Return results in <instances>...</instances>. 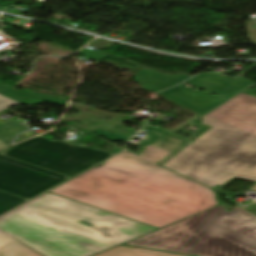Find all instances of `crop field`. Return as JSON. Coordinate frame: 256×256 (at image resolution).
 <instances>
[{
    "label": "crop field",
    "mask_w": 256,
    "mask_h": 256,
    "mask_svg": "<svg viewBox=\"0 0 256 256\" xmlns=\"http://www.w3.org/2000/svg\"><path fill=\"white\" fill-rule=\"evenodd\" d=\"M243 208L252 212V213H254V214H256V203L250 204V205H248L246 207H243Z\"/></svg>",
    "instance_id": "obj_16"
},
{
    "label": "crop field",
    "mask_w": 256,
    "mask_h": 256,
    "mask_svg": "<svg viewBox=\"0 0 256 256\" xmlns=\"http://www.w3.org/2000/svg\"><path fill=\"white\" fill-rule=\"evenodd\" d=\"M97 256H183L121 245Z\"/></svg>",
    "instance_id": "obj_12"
},
{
    "label": "crop field",
    "mask_w": 256,
    "mask_h": 256,
    "mask_svg": "<svg viewBox=\"0 0 256 256\" xmlns=\"http://www.w3.org/2000/svg\"><path fill=\"white\" fill-rule=\"evenodd\" d=\"M69 177L0 155V189L32 198Z\"/></svg>",
    "instance_id": "obj_7"
},
{
    "label": "crop field",
    "mask_w": 256,
    "mask_h": 256,
    "mask_svg": "<svg viewBox=\"0 0 256 256\" xmlns=\"http://www.w3.org/2000/svg\"><path fill=\"white\" fill-rule=\"evenodd\" d=\"M23 198L0 191V215L27 202Z\"/></svg>",
    "instance_id": "obj_13"
},
{
    "label": "crop field",
    "mask_w": 256,
    "mask_h": 256,
    "mask_svg": "<svg viewBox=\"0 0 256 256\" xmlns=\"http://www.w3.org/2000/svg\"><path fill=\"white\" fill-rule=\"evenodd\" d=\"M155 229L46 193L0 217V256H42L11 236L44 256H89Z\"/></svg>",
    "instance_id": "obj_2"
},
{
    "label": "crop field",
    "mask_w": 256,
    "mask_h": 256,
    "mask_svg": "<svg viewBox=\"0 0 256 256\" xmlns=\"http://www.w3.org/2000/svg\"><path fill=\"white\" fill-rule=\"evenodd\" d=\"M197 256H256V215L235 205L223 215Z\"/></svg>",
    "instance_id": "obj_5"
},
{
    "label": "crop field",
    "mask_w": 256,
    "mask_h": 256,
    "mask_svg": "<svg viewBox=\"0 0 256 256\" xmlns=\"http://www.w3.org/2000/svg\"><path fill=\"white\" fill-rule=\"evenodd\" d=\"M93 132H95V133H97V134H99V135H101V136H103V137H105V138H107V139H109V140H111L113 142L118 140V139L126 142L127 139H128V137H124V136L116 135V134H113V133L105 132L101 128H99V129H97V130H95Z\"/></svg>",
    "instance_id": "obj_14"
},
{
    "label": "crop field",
    "mask_w": 256,
    "mask_h": 256,
    "mask_svg": "<svg viewBox=\"0 0 256 256\" xmlns=\"http://www.w3.org/2000/svg\"><path fill=\"white\" fill-rule=\"evenodd\" d=\"M160 93L202 114L226 100L207 91L205 93L200 91L191 92L185 89L182 84Z\"/></svg>",
    "instance_id": "obj_9"
},
{
    "label": "crop field",
    "mask_w": 256,
    "mask_h": 256,
    "mask_svg": "<svg viewBox=\"0 0 256 256\" xmlns=\"http://www.w3.org/2000/svg\"><path fill=\"white\" fill-rule=\"evenodd\" d=\"M7 146L3 141L0 140V148Z\"/></svg>",
    "instance_id": "obj_17"
},
{
    "label": "crop field",
    "mask_w": 256,
    "mask_h": 256,
    "mask_svg": "<svg viewBox=\"0 0 256 256\" xmlns=\"http://www.w3.org/2000/svg\"><path fill=\"white\" fill-rule=\"evenodd\" d=\"M18 104V102L11 100L5 96L0 95V111L9 108L13 105Z\"/></svg>",
    "instance_id": "obj_15"
},
{
    "label": "crop field",
    "mask_w": 256,
    "mask_h": 256,
    "mask_svg": "<svg viewBox=\"0 0 256 256\" xmlns=\"http://www.w3.org/2000/svg\"><path fill=\"white\" fill-rule=\"evenodd\" d=\"M225 211L220 205L126 244L194 256Z\"/></svg>",
    "instance_id": "obj_6"
},
{
    "label": "crop field",
    "mask_w": 256,
    "mask_h": 256,
    "mask_svg": "<svg viewBox=\"0 0 256 256\" xmlns=\"http://www.w3.org/2000/svg\"><path fill=\"white\" fill-rule=\"evenodd\" d=\"M212 126L163 166L204 185L256 181V96L240 93L203 116Z\"/></svg>",
    "instance_id": "obj_3"
},
{
    "label": "crop field",
    "mask_w": 256,
    "mask_h": 256,
    "mask_svg": "<svg viewBox=\"0 0 256 256\" xmlns=\"http://www.w3.org/2000/svg\"><path fill=\"white\" fill-rule=\"evenodd\" d=\"M152 136L51 192L161 228L218 203L215 192L161 166L192 140L146 124Z\"/></svg>",
    "instance_id": "obj_1"
},
{
    "label": "crop field",
    "mask_w": 256,
    "mask_h": 256,
    "mask_svg": "<svg viewBox=\"0 0 256 256\" xmlns=\"http://www.w3.org/2000/svg\"><path fill=\"white\" fill-rule=\"evenodd\" d=\"M15 88L16 87L14 86L0 82V94L12 98L18 102L25 103L27 105L44 100L65 106L68 101L66 99L43 95L27 90H14Z\"/></svg>",
    "instance_id": "obj_11"
},
{
    "label": "crop field",
    "mask_w": 256,
    "mask_h": 256,
    "mask_svg": "<svg viewBox=\"0 0 256 256\" xmlns=\"http://www.w3.org/2000/svg\"><path fill=\"white\" fill-rule=\"evenodd\" d=\"M188 77L190 76L187 74L165 75L146 69L133 77V79L140 83L142 87L158 92L166 87L176 85Z\"/></svg>",
    "instance_id": "obj_10"
},
{
    "label": "crop field",
    "mask_w": 256,
    "mask_h": 256,
    "mask_svg": "<svg viewBox=\"0 0 256 256\" xmlns=\"http://www.w3.org/2000/svg\"><path fill=\"white\" fill-rule=\"evenodd\" d=\"M2 154L69 177L113 155L96 149L82 148L67 142H53L44 137H35L14 145L11 150Z\"/></svg>",
    "instance_id": "obj_4"
},
{
    "label": "crop field",
    "mask_w": 256,
    "mask_h": 256,
    "mask_svg": "<svg viewBox=\"0 0 256 256\" xmlns=\"http://www.w3.org/2000/svg\"><path fill=\"white\" fill-rule=\"evenodd\" d=\"M186 83L208 90L226 99L249 86L252 82L240 77L230 78L212 74L201 73Z\"/></svg>",
    "instance_id": "obj_8"
},
{
    "label": "crop field",
    "mask_w": 256,
    "mask_h": 256,
    "mask_svg": "<svg viewBox=\"0 0 256 256\" xmlns=\"http://www.w3.org/2000/svg\"><path fill=\"white\" fill-rule=\"evenodd\" d=\"M251 189L255 190L256 191V185L254 187H252Z\"/></svg>",
    "instance_id": "obj_18"
}]
</instances>
